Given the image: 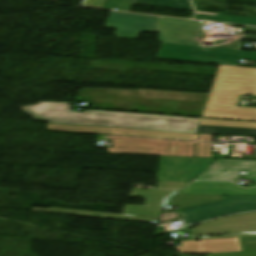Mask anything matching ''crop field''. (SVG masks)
Listing matches in <instances>:
<instances>
[{
	"mask_svg": "<svg viewBox=\"0 0 256 256\" xmlns=\"http://www.w3.org/2000/svg\"><path fill=\"white\" fill-rule=\"evenodd\" d=\"M114 148L109 153L193 157L195 142H176L145 138L109 136Z\"/></svg>",
	"mask_w": 256,
	"mask_h": 256,
	"instance_id": "obj_4",
	"label": "crop field"
},
{
	"mask_svg": "<svg viewBox=\"0 0 256 256\" xmlns=\"http://www.w3.org/2000/svg\"><path fill=\"white\" fill-rule=\"evenodd\" d=\"M251 210H256V197L223 196V201L178 212L185 216L184 221L186 224H193L207 220L209 217L214 218Z\"/></svg>",
	"mask_w": 256,
	"mask_h": 256,
	"instance_id": "obj_5",
	"label": "crop field"
},
{
	"mask_svg": "<svg viewBox=\"0 0 256 256\" xmlns=\"http://www.w3.org/2000/svg\"><path fill=\"white\" fill-rule=\"evenodd\" d=\"M134 3L193 10L190 0H135Z\"/></svg>",
	"mask_w": 256,
	"mask_h": 256,
	"instance_id": "obj_11",
	"label": "crop field"
},
{
	"mask_svg": "<svg viewBox=\"0 0 256 256\" xmlns=\"http://www.w3.org/2000/svg\"><path fill=\"white\" fill-rule=\"evenodd\" d=\"M196 157L211 158V144L198 143Z\"/></svg>",
	"mask_w": 256,
	"mask_h": 256,
	"instance_id": "obj_14",
	"label": "crop field"
},
{
	"mask_svg": "<svg viewBox=\"0 0 256 256\" xmlns=\"http://www.w3.org/2000/svg\"><path fill=\"white\" fill-rule=\"evenodd\" d=\"M196 133L207 135L241 136L256 138V130L228 127L199 125Z\"/></svg>",
	"mask_w": 256,
	"mask_h": 256,
	"instance_id": "obj_9",
	"label": "crop field"
},
{
	"mask_svg": "<svg viewBox=\"0 0 256 256\" xmlns=\"http://www.w3.org/2000/svg\"><path fill=\"white\" fill-rule=\"evenodd\" d=\"M194 19L256 26L255 18L229 16V15H221V14L196 12Z\"/></svg>",
	"mask_w": 256,
	"mask_h": 256,
	"instance_id": "obj_10",
	"label": "crop field"
},
{
	"mask_svg": "<svg viewBox=\"0 0 256 256\" xmlns=\"http://www.w3.org/2000/svg\"><path fill=\"white\" fill-rule=\"evenodd\" d=\"M21 109L31 118L41 122L190 133L196 132L199 120L95 110L77 113L69 110V102H38L37 105L25 106Z\"/></svg>",
	"mask_w": 256,
	"mask_h": 256,
	"instance_id": "obj_1",
	"label": "crop field"
},
{
	"mask_svg": "<svg viewBox=\"0 0 256 256\" xmlns=\"http://www.w3.org/2000/svg\"><path fill=\"white\" fill-rule=\"evenodd\" d=\"M209 94L161 91L81 88L75 100L94 109H112L201 116Z\"/></svg>",
	"mask_w": 256,
	"mask_h": 256,
	"instance_id": "obj_2",
	"label": "crop field"
},
{
	"mask_svg": "<svg viewBox=\"0 0 256 256\" xmlns=\"http://www.w3.org/2000/svg\"><path fill=\"white\" fill-rule=\"evenodd\" d=\"M177 190H131L130 197H144L145 206L126 205L122 214L159 217L164 201Z\"/></svg>",
	"mask_w": 256,
	"mask_h": 256,
	"instance_id": "obj_7",
	"label": "crop field"
},
{
	"mask_svg": "<svg viewBox=\"0 0 256 256\" xmlns=\"http://www.w3.org/2000/svg\"><path fill=\"white\" fill-rule=\"evenodd\" d=\"M199 124L256 129L255 123H241V122L201 119Z\"/></svg>",
	"mask_w": 256,
	"mask_h": 256,
	"instance_id": "obj_12",
	"label": "crop field"
},
{
	"mask_svg": "<svg viewBox=\"0 0 256 256\" xmlns=\"http://www.w3.org/2000/svg\"><path fill=\"white\" fill-rule=\"evenodd\" d=\"M188 183L158 182V188L181 189Z\"/></svg>",
	"mask_w": 256,
	"mask_h": 256,
	"instance_id": "obj_15",
	"label": "crop field"
},
{
	"mask_svg": "<svg viewBox=\"0 0 256 256\" xmlns=\"http://www.w3.org/2000/svg\"><path fill=\"white\" fill-rule=\"evenodd\" d=\"M47 129L75 132V133H102V134H113V135L183 139V140H193V141H196L198 136V134H178V133H165V132L125 130V129H111V128H102V127L69 126V125H58V124H47Z\"/></svg>",
	"mask_w": 256,
	"mask_h": 256,
	"instance_id": "obj_6",
	"label": "crop field"
},
{
	"mask_svg": "<svg viewBox=\"0 0 256 256\" xmlns=\"http://www.w3.org/2000/svg\"><path fill=\"white\" fill-rule=\"evenodd\" d=\"M198 141L212 142L213 136L200 135Z\"/></svg>",
	"mask_w": 256,
	"mask_h": 256,
	"instance_id": "obj_17",
	"label": "crop field"
},
{
	"mask_svg": "<svg viewBox=\"0 0 256 256\" xmlns=\"http://www.w3.org/2000/svg\"><path fill=\"white\" fill-rule=\"evenodd\" d=\"M177 194L256 196V189L242 190L230 182H194Z\"/></svg>",
	"mask_w": 256,
	"mask_h": 256,
	"instance_id": "obj_8",
	"label": "crop field"
},
{
	"mask_svg": "<svg viewBox=\"0 0 256 256\" xmlns=\"http://www.w3.org/2000/svg\"><path fill=\"white\" fill-rule=\"evenodd\" d=\"M133 0H106L103 8L104 9H110L114 10L117 9L119 11H125L128 12Z\"/></svg>",
	"mask_w": 256,
	"mask_h": 256,
	"instance_id": "obj_13",
	"label": "crop field"
},
{
	"mask_svg": "<svg viewBox=\"0 0 256 256\" xmlns=\"http://www.w3.org/2000/svg\"><path fill=\"white\" fill-rule=\"evenodd\" d=\"M105 0H83L82 4L89 7L102 8Z\"/></svg>",
	"mask_w": 256,
	"mask_h": 256,
	"instance_id": "obj_16",
	"label": "crop field"
},
{
	"mask_svg": "<svg viewBox=\"0 0 256 256\" xmlns=\"http://www.w3.org/2000/svg\"><path fill=\"white\" fill-rule=\"evenodd\" d=\"M240 95L256 96V70L219 67L202 116L256 121V108L236 107Z\"/></svg>",
	"mask_w": 256,
	"mask_h": 256,
	"instance_id": "obj_3",
	"label": "crop field"
}]
</instances>
